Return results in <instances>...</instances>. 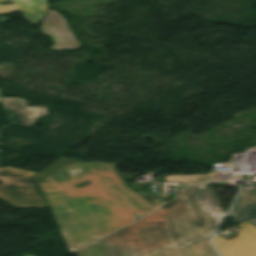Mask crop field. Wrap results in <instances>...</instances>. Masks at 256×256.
I'll return each mask as SVG.
<instances>
[{"label":"crop field","instance_id":"1","mask_svg":"<svg viewBox=\"0 0 256 256\" xmlns=\"http://www.w3.org/2000/svg\"><path fill=\"white\" fill-rule=\"evenodd\" d=\"M90 180L81 189L74 185ZM70 252L157 208L126 188L115 164L79 163L39 184ZM152 212V211H151Z\"/></svg>","mask_w":256,"mask_h":256},{"label":"crop field","instance_id":"2","mask_svg":"<svg viewBox=\"0 0 256 256\" xmlns=\"http://www.w3.org/2000/svg\"><path fill=\"white\" fill-rule=\"evenodd\" d=\"M221 211L212 184L197 185L102 241L109 256H195L187 246L217 230Z\"/></svg>","mask_w":256,"mask_h":256},{"label":"crop field","instance_id":"3","mask_svg":"<svg viewBox=\"0 0 256 256\" xmlns=\"http://www.w3.org/2000/svg\"><path fill=\"white\" fill-rule=\"evenodd\" d=\"M35 173L8 166L0 168V199L17 208H49L29 179Z\"/></svg>","mask_w":256,"mask_h":256},{"label":"crop field","instance_id":"4","mask_svg":"<svg viewBox=\"0 0 256 256\" xmlns=\"http://www.w3.org/2000/svg\"><path fill=\"white\" fill-rule=\"evenodd\" d=\"M240 227L238 236L229 241L213 237L212 242L222 256H256V227L247 221Z\"/></svg>","mask_w":256,"mask_h":256},{"label":"crop field","instance_id":"5","mask_svg":"<svg viewBox=\"0 0 256 256\" xmlns=\"http://www.w3.org/2000/svg\"><path fill=\"white\" fill-rule=\"evenodd\" d=\"M10 124L36 127L35 120L48 116L46 106L26 107L27 100L21 98H1Z\"/></svg>","mask_w":256,"mask_h":256},{"label":"crop field","instance_id":"6","mask_svg":"<svg viewBox=\"0 0 256 256\" xmlns=\"http://www.w3.org/2000/svg\"><path fill=\"white\" fill-rule=\"evenodd\" d=\"M42 24L43 26L40 27L42 32L50 35L56 44L50 49L60 51L64 48L77 49L81 47V44L66 24L64 17L56 11H49Z\"/></svg>","mask_w":256,"mask_h":256},{"label":"crop field","instance_id":"7","mask_svg":"<svg viewBox=\"0 0 256 256\" xmlns=\"http://www.w3.org/2000/svg\"><path fill=\"white\" fill-rule=\"evenodd\" d=\"M1 1H12L14 3L8 6L0 5V14H10L15 11H20L31 24L40 23L49 7L47 0H0V2Z\"/></svg>","mask_w":256,"mask_h":256},{"label":"crop field","instance_id":"8","mask_svg":"<svg viewBox=\"0 0 256 256\" xmlns=\"http://www.w3.org/2000/svg\"><path fill=\"white\" fill-rule=\"evenodd\" d=\"M230 216L235 225L247 219L256 218V185L244 186Z\"/></svg>","mask_w":256,"mask_h":256},{"label":"crop field","instance_id":"9","mask_svg":"<svg viewBox=\"0 0 256 256\" xmlns=\"http://www.w3.org/2000/svg\"><path fill=\"white\" fill-rule=\"evenodd\" d=\"M79 163V161H73V160H67V159H60L57 162H55L53 165L39 173L38 175L34 176L32 181L36 184L42 182L45 178L55 173L57 170H59L61 167Z\"/></svg>","mask_w":256,"mask_h":256},{"label":"crop field","instance_id":"10","mask_svg":"<svg viewBox=\"0 0 256 256\" xmlns=\"http://www.w3.org/2000/svg\"><path fill=\"white\" fill-rule=\"evenodd\" d=\"M207 175H190V176H167L166 182H182L195 184L198 182H207Z\"/></svg>","mask_w":256,"mask_h":256},{"label":"crop field","instance_id":"11","mask_svg":"<svg viewBox=\"0 0 256 256\" xmlns=\"http://www.w3.org/2000/svg\"><path fill=\"white\" fill-rule=\"evenodd\" d=\"M209 239L191 247L192 251L196 254V256H219L210 245Z\"/></svg>","mask_w":256,"mask_h":256},{"label":"crop field","instance_id":"12","mask_svg":"<svg viewBox=\"0 0 256 256\" xmlns=\"http://www.w3.org/2000/svg\"><path fill=\"white\" fill-rule=\"evenodd\" d=\"M81 256H106L101 241L94 243L80 252Z\"/></svg>","mask_w":256,"mask_h":256},{"label":"crop field","instance_id":"13","mask_svg":"<svg viewBox=\"0 0 256 256\" xmlns=\"http://www.w3.org/2000/svg\"><path fill=\"white\" fill-rule=\"evenodd\" d=\"M249 222L256 226V219L250 220Z\"/></svg>","mask_w":256,"mask_h":256}]
</instances>
